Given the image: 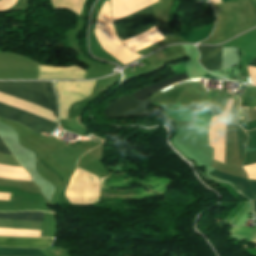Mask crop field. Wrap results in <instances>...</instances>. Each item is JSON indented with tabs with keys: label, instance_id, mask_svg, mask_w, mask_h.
<instances>
[{
	"label": "crop field",
	"instance_id": "8a807250",
	"mask_svg": "<svg viewBox=\"0 0 256 256\" xmlns=\"http://www.w3.org/2000/svg\"><path fill=\"white\" fill-rule=\"evenodd\" d=\"M0 91L57 112L52 82H0ZM0 116L18 121L35 132L52 133L58 126L44 118L2 103Z\"/></svg>",
	"mask_w": 256,
	"mask_h": 256
},
{
	"label": "crop field",
	"instance_id": "ac0d7876",
	"mask_svg": "<svg viewBox=\"0 0 256 256\" xmlns=\"http://www.w3.org/2000/svg\"><path fill=\"white\" fill-rule=\"evenodd\" d=\"M96 37L106 52L116 58L118 61L128 64L131 61L141 57L125 48L116 36L112 27V18L109 8V1H106L101 8L95 28Z\"/></svg>",
	"mask_w": 256,
	"mask_h": 256
},
{
	"label": "crop field",
	"instance_id": "34b2d1b8",
	"mask_svg": "<svg viewBox=\"0 0 256 256\" xmlns=\"http://www.w3.org/2000/svg\"><path fill=\"white\" fill-rule=\"evenodd\" d=\"M153 26H155V13L150 6L114 21L116 33L123 40L138 35Z\"/></svg>",
	"mask_w": 256,
	"mask_h": 256
},
{
	"label": "crop field",
	"instance_id": "412701ff",
	"mask_svg": "<svg viewBox=\"0 0 256 256\" xmlns=\"http://www.w3.org/2000/svg\"><path fill=\"white\" fill-rule=\"evenodd\" d=\"M149 105H151L150 98L141 103L125 95L116 102L107 105V108L110 117L122 118L149 115L146 108Z\"/></svg>",
	"mask_w": 256,
	"mask_h": 256
},
{
	"label": "crop field",
	"instance_id": "f4fd0767",
	"mask_svg": "<svg viewBox=\"0 0 256 256\" xmlns=\"http://www.w3.org/2000/svg\"><path fill=\"white\" fill-rule=\"evenodd\" d=\"M200 63L209 71L221 70V48L199 46Z\"/></svg>",
	"mask_w": 256,
	"mask_h": 256
},
{
	"label": "crop field",
	"instance_id": "dd49c442",
	"mask_svg": "<svg viewBox=\"0 0 256 256\" xmlns=\"http://www.w3.org/2000/svg\"><path fill=\"white\" fill-rule=\"evenodd\" d=\"M53 239L43 238H8L0 237V246L8 247H26V248H44L48 246Z\"/></svg>",
	"mask_w": 256,
	"mask_h": 256
},
{
	"label": "crop field",
	"instance_id": "e52e79f7",
	"mask_svg": "<svg viewBox=\"0 0 256 256\" xmlns=\"http://www.w3.org/2000/svg\"><path fill=\"white\" fill-rule=\"evenodd\" d=\"M185 79H188V76L186 75V73L172 77L170 79H167V80H165L159 84L153 85L151 87L142 89L131 96L142 102L143 100H145L147 97H149L151 94L155 93L156 91H158L172 83H176V82H179V81H182Z\"/></svg>",
	"mask_w": 256,
	"mask_h": 256
},
{
	"label": "crop field",
	"instance_id": "d8731c3e",
	"mask_svg": "<svg viewBox=\"0 0 256 256\" xmlns=\"http://www.w3.org/2000/svg\"><path fill=\"white\" fill-rule=\"evenodd\" d=\"M209 174L213 177L221 178V179H225L227 181L233 182V184L237 187V189L240 192H242L244 195L248 196L251 200L255 199L251 190H250V185H249V182L247 180L231 177V176L225 175V174H221L216 170L209 173Z\"/></svg>",
	"mask_w": 256,
	"mask_h": 256
},
{
	"label": "crop field",
	"instance_id": "5a996713",
	"mask_svg": "<svg viewBox=\"0 0 256 256\" xmlns=\"http://www.w3.org/2000/svg\"><path fill=\"white\" fill-rule=\"evenodd\" d=\"M43 212L0 213V219L42 221Z\"/></svg>",
	"mask_w": 256,
	"mask_h": 256
},
{
	"label": "crop field",
	"instance_id": "3316defc",
	"mask_svg": "<svg viewBox=\"0 0 256 256\" xmlns=\"http://www.w3.org/2000/svg\"><path fill=\"white\" fill-rule=\"evenodd\" d=\"M240 105L252 108L256 107V87H246Z\"/></svg>",
	"mask_w": 256,
	"mask_h": 256
},
{
	"label": "crop field",
	"instance_id": "28ad6ade",
	"mask_svg": "<svg viewBox=\"0 0 256 256\" xmlns=\"http://www.w3.org/2000/svg\"><path fill=\"white\" fill-rule=\"evenodd\" d=\"M0 150L4 151V152H7V153H10L1 139H0Z\"/></svg>",
	"mask_w": 256,
	"mask_h": 256
},
{
	"label": "crop field",
	"instance_id": "d1516ede",
	"mask_svg": "<svg viewBox=\"0 0 256 256\" xmlns=\"http://www.w3.org/2000/svg\"><path fill=\"white\" fill-rule=\"evenodd\" d=\"M250 184H251L252 189H253V191L255 193V196H256V181H250Z\"/></svg>",
	"mask_w": 256,
	"mask_h": 256
},
{
	"label": "crop field",
	"instance_id": "22f410ed",
	"mask_svg": "<svg viewBox=\"0 0 256 256\" xmlns=\"http://www.w3.org/2000/svg\"><path fill=\"white\" fill-rule=\"evenodd\" d=\"M249 65L256 67V57L252 60V62Z\"/></svg>",
	"mask_w": 256,
	"mask_h": 256
}]
</instances>
